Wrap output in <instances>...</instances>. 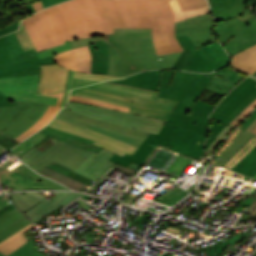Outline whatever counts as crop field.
I'll list each match as a JSON object with an SVG mask.
<instances>
[{"label": "crop field", "mask_w": 256, "mask_h": 256, "mask_svg": "<svg viewBox=\"0 0 256 256\" xmlns=\"http://www.w3.org/2000/svg\"><path fill=\"white\" fill-rule=\"evenodd\" d=\"M251 232H246L245 234H238L235 237H232L231 239L225 241L224 243H217L215 246H213L210 250L207 251L208 254L213 255V256H217L219 253H221L223 251V249L225 247H227L228 245L232 246L233 244H235L236 242H238L240 239L246 237L248 234H250ZM214 252H216L215 254H213Z\"/></svg>", "instance_id": "obj_41"}, {"label": "crop field", "mask_w": 256, "mask_h": 256, "mask_svg": "<svg viewBox=\"0 0 256 256\" xmlns=\"http://www.w3.org/2000/svg\"><path fill=\"white\" fill-rule=\"evenodd\" d=\"M150 215V213L144 212L134 225L141 227L144 224V222L149 218Z\"/></svg>", "instance_id": "obj_57"}, {"label": "crop field", "mask_w": 256, "mask_h": 256, "mask_svg": "<svg viewBox=\"0 0 256 256\" xmlns=\"http://www.w3.org/2000/svg\"><path fill=\"white\" fill-rule=\"evenodd\" d=\"M165 125L175 128L170 150L186 154L196 159L205 153L203 148L205 135L167 122Z\"/></svg>", "instance_id": "obj_16"}, {"label": "crop field", "mask_w": 256, "mask_h": 256, "mask_svg": "<svg viewBox=\"0 0 256 256\" xmlns=\"http://www.w3.org/2000/svg\"><path fill=\"white\" fill-rule=\"evenodd\" d=\"M34 226V223L28 225L27 227L23 228L22 230L18 231L14 235L10 236L6 240L0 243V252H2L4 255H9L11 252H13L15 249H17L19 246L24 244L27 240L23 234L24 231Z\"/></svg>", "instance_id": "obj_32"}, {"label": "crop field", "mask_w": 256, "mask_h": 256, "mask_svg": "<svg viewBox=\"0 0 256 256\" xmlns=\"http://www.w3.org/2000/svg\"><path fill=\"white\" fill-rule=\"evenodd\" d=\"M32 5H33V7L35 8L36 12H38V11L44 9V7H43L41 1L36 2V3H33Z\"/></svg>", "instance_id": "obj_63"}, {"label": "crop field", "mask_w": 256, "mask_h": 256, "mask_svg": "<svg viewBox=\"0 0 256 256\" xmlns=\"http://www.w3.org/2000/svg\"><path fill=\"white\" fill-rule=\"evenodd\" d=\"M44 7H49V6H52L54 4H57L59 2H62V1H65V0H41Z\"/></svg>", "instance_id": "obj_61"}, {"label": "crop field", "mask_w": 256, "mask_h": 256, "mask_svg": "<svg viewBox=\"0 0 256 256\" xmlns=\"http://www.w3.org/2000/svg\"><path fill=\"white\" fill-rule=\"evenodd\" d=\"M24 193V195H22ZM71 192H53L56 197H50L48 201L46 196L37 192H17L9 195L16 206L35 223L46 217L41 213L57 204Z\"/></svg>", "instance_id": "obj_13"}, {"label": "crop field", "mask_w": 256, "mask_h": 256, "mask_svg": "<svg viewBox=\"0 0 256 256\" xmlns=\"http://www.w3.org/2000/svg\"><path fill=\"white\" fill-rule=\"evenodd\" d=\"M56 25L60 41L114 33L124 28L116 0H70L45 9Z\"/></svg>", "instance_id": "obj_2"}, {"label": "crop field", "mask_w": 256, "mask_h": 256, "mask_svg": "<svg viewBox=\"0 0 256 256\" xmlns=\"http://www.w3.org/2000/svg\"><path fill=\"white\" fill-rule=\"evenodd\" d=\"M32 223L18 209H13L0 217V242L18 230Z\"/></svg>", "instance_id": "obj_24"}, {"label": "crop field", "mask_w": 256, "mask_h": 256, "mask_svg": "<svg viewBox=\"0 0 256 256\" xmlns=\"http://www.w3.org/2000/svg\"><path fill=\"white\" fill-rule=\"evenodd\" d=\"M69 92L70 91L64 93V96H63V99H62V102H61V105H60L61 107L65 106V104H66V102L68 100Z\"/></svg>", "instance_id": "obj_64"}, {"label": "crop field", "mask_w": 256, "mask_h": 256, "mask_svg": "<svg viewBox=\"0 0 256 256\" xmlns=\"http://www.w3.org/2000/svg\"><path fill=\"white\" fill-rule=\"evenodd\" d=\"M63 93H58L50 96H56L59 97L58 102L56 106H49L47 111L45 112L44 116L39 119L30 129H28L26 132H24L22 135H20L16 140L23 141L31 134L37 132L39 129H41L43 126H45L52 118L53 116L60 110L61 107H59Z\"/></svg>", "instance_id": "obj_31"}, {"label": "crop field", "mask_w": 256, "mask_h": 256, "mask_svg": "<svg viewBox=\"0 0 256 256\" xmlns=\"http://www.w3.org/2000/svg\"><path fill=\"white\" fill-rule=\"evenodd\" d=\"M233 129V127L226 126L214 139L212 145L206 151L210 156L216 150V148L220 145V143L224 140V138L228 135V133Z\"/></svg>", "instance_id": "obj_45"}, {"label": "crop field", "mask_w": 256, "mask_h": 256, "mask_svg": "<svg viewBox=\"0 0 256 256\" xmlns=\"http://www.w3.org/2000/svg\"><path fill=\"white\" fill-rule=\"evenodd\" d=\"M115 34L98 36L72 42L73 48L96 43L103 39L110 48V75L128 76L142 70L171 68L180 56L171 53L157 56L151 29H114ZM158 58H162L159 61Z\"/></svg>", "instance_id": "obj_1"}, {"label": "crop field", "mask_w": 256, "mask_h": 256, "mask_svg": "<svg viewBox=\"0 0 256 256\" xmlns=\"http://www.w3.org/2000/svg\"><path fill=\"white\" fill-rule=\"evenodd\" d=\"M221 68L229 61V56L217 41L201 48Z\"/></svg>", "instance_id": "obj_34"}, {"label": "crop field", "mask_w": 256, "mask_h": 256, "mask_svg": "<svg viewBox=\"0 0 256 256\" xmlns=\"http://www.w3.org/2000/svg\"><path fill=\"white\" fill-rule=\"evenodd\" d=\"M255 118H256V112H255L251 117H249V118L239 127V129L245 130Z\"/></svg>", "instance_id": "obj_59"}, {"label": "crop field", "mask_w": 256, "mask_h": 256, "mask_svg": "<svg viewBox=\"0 0 256 256\" xmlns=\"http://www.w3.org/2000/svg\"><path fill=\"white\" fill-rule=\"evenodd\" d=\"M88 128H91V129H93V130H96V131H99V132H101V133L107 134V135H109V136L115 137V138H117V139L123 140V141L128 142V143H130V144H132V145H135V146H137V147H139L140 144L142 143V141H140V140H138V139H134V138L127 137V136H124V135H121V134H117V133H114V132H110V131H107V130H104V129H101V128H98V127H95V126H92V125H90ZM91 129H90V130H91ZM99 132H98V133H99ZM107 135H106V136H107ZM115 138H114V139H115ZM123 141H122V142H123Z\"/></svg>", "instance_id": "obj_43"}, {"label": "crop field", "mask_w": 256, "mask_h": 256, "mask_svg": "<svg viewBox=\"0 0 256 256\" xmlns=\"http://www.w3.org/2000/svg\"><path fill=\"white\" fill-rule=\"evenodd\" d=\"M31 14L36 13L31 4L26 5Z\"/></svg>", "instance_id": "obj_69"}, {"label": "crop field", "mask_w": 256, "mask_h": 256, "mask_svg": "<svg viewBox=\"0 0 256 256\" xmlns=\"http://www.w3.org/2000/svg\"><path fill=\"white\" fill-rule=\"evenodd\" d=\"M23 22L38 52L61 44L53 21L44 10L24 19Z\"/></svg>", "instance_id": "obj_12"}, {"label": "crop field", "mask_w": 256, "mask_h": 256, "mask_svg": "<svg viewBox=\"0 0 256 256\" xmlns=\"http://www.w3.org/2000/svg\"><path fill=\"white\" fill-rule=\"evenodd\" d=\"M65 108L86 114L92 117L103 119L126 127L137 128L158 134L164 120L150 118L142 115L125 113L116 110L104 109L96 106H89L70 102Z\"/></svg>", "instance_id": "obj_10"}, {"label": "crop field", "mask_w": 256, "mask_h": 256, "mask_svg": "<svg viewBox=\"0 0 256 256\" xmlns=\"http://www.w3.org/2000/svg\"><path fill=\"white\" fill-rule=\"evenodd\" d=\"M126 28H152L157 54L183 51L174 33V13L167 0H117Z\"/></svg>", "instance_id": "obj_4"}, {"label": "crop field", "mask_w": 256, "mask_h": 256, "mask_svg": "<svg viewBox=\"0 0 256 256\" xmlns=\"http://www.w3.org/2000/svg\"><path fill=\"white\" fill-rule=\"evenodd\" d=\"M231 67L241 73L252 74L256 71V45L231 56Z\"/></svg>", "instance_id": "obj_27"}, {"label": "crop field", "mask_w": 256, "mask_h": 256, "mask_svg": "<svg viewBox=\"0 0 256 256\" xmlns=\"http://www.w3.org/2000/svg\"><path fill=\"white\" fill-rule=\"evenodd\" d=\"M215 73L214 79L207 86V90L217 92L221 95H226L237 85L246 75L237 73L229 67H225Z\"/></svg>", "instance_id": "obj_23"}, {"label": "crop field", "mask_w": 256, "mask_h": 256, "mask_svg": "<svg viewBox=\"0 0 256 256\" xmlns=\"http://www.w3.org/2000/svg\"><path fill=\"white\" fill-rule=\"evenodd\" d=\"M56 119L80 126L87 127L92 124L110 131H114L117 133H121L127 136H131L134 138H138L143 140L142 145L134 152L132 156L125 154L123 157L115 154L109 161L115 162L122 166L128 167L131 161L142 165L149 155L153 152L158 144L168 146L172 140V128L167 126L162 127L159 134H152L145 131L130 129L126 127H122L116 124H112L106 121H102L96 118H92L86 115H82L76 112H72L66 109L60 110L59 114H57Z\"/></svg>", "instance_id": "obj_7"}, {"label": "crop field", "mask_w": 256, "mask_h": 256, "mask_svg": "<svg viewBox=\"0 0 256 256\" xmlns=\"http://www.w3.org/2000/svg\"><path fill=\"white\" fill-rule=\"evenodd\" d=\"M3 151H5L4 149L0 148V153H2Z\"/></svg>", "instance_id": "obj_71"}, {"label": "crop field", "mask_w": 256, "mask_h": 256, "mask_svg": "<svg viewBox=\"0 0 256 256\" xmlns=\"http://www.w3.org/2000/svg\"><path fill=\"white\" fill-rule=\"evenodd\" d=\"M251 133L256 134V127L251 131Z\"/></svg>", "instance_id": "obj_70"}, {"label": "crop field", "mask_w": 256, "mask_h": 256, "mask_svg": "<svg viewBox=\"0 0 256 256\" xmlns=\"http://www.w3.org/2000/svg\"><path fill=\"white\" fill-rule=\"evenodd\" d=\"M74 71L70 70L69 72V76H68V82H67V86H66V90H70V86H71V80H72V76H73Z\"/></svg>", "instance_id": "obj_62"}, {"label": "crop field", "mask_w": 256, "mask_h": 256, "mask_svg": "<svg viewBox=\"0 0 256 256\" xmlns=\"http://www.w3.org/2000/svg\"><path fill=\"white\" fill-rule=\"evenodd\" d=\"M212 69L215 71L219 68L200 48L192 50L189 69L186 71L213 72Z\"/></svg>", "instance_id": "obj_30"}, {"label": "crop field", "mask_w": 256, "mask_h": 256, "mask_svg": "<svg viewBox=\"0 0 256 256\" xmlns=\"http://www.w3.org/2000/svg\"><path fill=\"white\" fill-rule=\"evenodd\" d=\"M231 170L253 177L256 174V147Z\"/></svg>", "instance_id": "obj_33"}, {"label": "crop field", "mask_w": 256, "mask_h": 256, "mask_svg": "<svg viewBox=\"0 0 256 256\" xmlns=\"http://www.w3.org/2000/svg\"><path fill=\"white\" fill-rule=\"evenodd\" d=\"M47 108V105L20 101L14 106H2L0 131L15 139L41 118Z\"/></svg>", "instance_id": "obj_9"}, {"label": "crop field", "mask_w": 256, "mask_h": 256, "mask_svg": "<svg viewBox=\"0 0 256 256\" xmlns=\"http://www.w3.org/2000/svg\"><path fill=\"white\" fill-rule=\"evenodd\" d=\"M36 50L24 52L15 33L0 38V66L37 57Z\"/></svg>", "instance_id": "obj_19"}, {"label": "crop field", "mask_w": 256, "mask_h": 256, "mask_svg": "<svg viewBox=\"0 0 256 256\" xmlns=\"http://www.w3.org/2000/svg\"><path fill=\"white\" fill-rule=\"evenodd\" d=\"M39 75L9 77L0 79V89L10 100L38 102L55 105L58 98L35 94Z\"/></svg>", "instance_id": "obj_11"}, {"label": "crop field", "mask_w": 256, "mask_h": 256, "mask_svg": "<svg viewBox=\"0 0 256 256\" xmlns=\"http://www.w3.org/2000/svg\"><path fill=\"white\" fill-rule=\"evenodd\" d=\"M113 155L114 153L105 149H102L98 154L92 153L74 171L96 181L114 165V163L107 161Z\"/></svg>", "instance_id": "obj_20"}, {"label": "crop field", "mask_w": 256, "mask_h": 256, "mask_svg": "<svg viewBox=\"0 0 256 256\" xmlns=\"http://www.w3.org/2000/svg\"><path fill=\"white\" fill-rule=\"evenodd\" d=\"M251 76H254V77H256V72H255V73H253Z\"/></svg>", "instance_id": "obj_72"}, {"label": "crop field", "mask_w": 256, "mask_h": 256, "mask_svg": "<svg viewBox=\"0 0 256 256\" xmlns=\"http://www.w3.org/2000/svg\"><path fill=\"white\" fill-rule=\"evenodd\" d=\"M16 34H17L25 51L35 48L24 25H23V22L21 23V29L16 31Z\"/></svg>", "instance_id": "obj_44"}, {"label": "crop field", "mask_w": 256, "mask_h": 256, "mask_svg": "<svg viewBox=\"0 0 256 256\" xmlns=\"http://www.w3.org/2000/svg\"><path fill=\"white\" fill-rule=\"evenodd\" d=\"M0 146L6 148V149H8V150L11 149V148H13V147L9 146L8 144L4 143V142L1 141V140H0Z\"/></svg>", "instance_id": "obj_67"}, {"label": "crop field", "mask_w": 256, "mask_h": 256, "mask_svg": "<svg viewBox=\"0 0 256 256\" xmlns=\"http://www.w3.org/2000/svg\"><path fill=\"white\" fill-rule=\"evenodd\" d=\"M214 24L212 14H205L187 19L184 22L175 23V28Z\"/></svg>", "instance_id": "obj_38"}, {"label": "crop field", "mask_w": 256, "mask_h": 256, "mask_svg": "<svg viewBox=\"0 0 256 256\" xmlns=\"http://www.w3.org/2000/svg\"><path fill=\"white\" fill-rule=\"evenodd\" d=\"M15 101H10L5 94L0 90V106L13 105Z\"/></svg>", "instance_id": "obj_56"}, {"label": "crop field", "mask_w": 256, "mask_h": 256, "mask_svg": "<svg viewBox=\"0 0 256 256\" xmlns=\"http://www.w3.org/2000/svg\"><path fill=\"white\" fill-rule=\"evenodd\" d=\"M255 146L256 136L240 152H238L224 167L231 169Z\"/></svg>", "instance_id": "obj_42"}, {"label": "crop field", "mask_w": 256, "mask_h": 256, "mask_svg": "<svg viewBox=\"0 0 256 256\" xmlns=\"http://www.w3.org/2000/svg\"><path fill=\"white\" fill-rule=\"evenodd\" d=\"M69 70L59 65L41 66L38 94L49 95L65 90Z\"/></svg>", "instance_id": "obj_18"}, {"label": "crop field", "mask_w": 256, "mask_h": 256, "mask_svg": "<svg viewBox=\"0 0 256 256\" xmlns=\"http://www.w3.org/2000/svg\"><path fill=\"white\" fill-rule=\"evenodd\" d=\"M48 64H55L53 55L41 60H39V58L37 57L21 63L0 67V73L21 70V69H28V68H36V67H40V65H48Z\"/></svg>", "instance_id": "obj_35"}, {"label": "crop field", "mask_w": 256, "mask_h": 256, "mask_svg": "<svg viewBox=\"0 0 256 256\" xmlns=\"http://www.w3.org/2000/svg\"><path fill=\"white\" fill-rule=\"evenodd\" d=\"M90 154L91 152L89 151L63 143L38 163L30 167L39 173L56 161L74 170Z\"/></svg>", "instance_id": "obj_17"}, {"label": "crop field", "mask_w": 256, "mask_h": 256, "mask_svg": "<svg viewBox=\"0 0 256 256\" xmlns=\"http://www.w3.org/2000/svg\"><path fill=\"white\" fill-rule=\"evenodd\" d=\"M4 153V152H3ZM1 155V154H0Z\"/></svg>", "instance_id": "obj_77"}, {"label": "crop field", "mask_w": 256, "mask_h": 256, "mask_svg": "<svg viewBox=\"0 0 256 256\" xmlns=\"http://www.w3.org/2000/svg\"><path fill=\"white\" fill-rule=\"evenodd\" d=\"M13 208H15V207L12 203V204H10L9 206H7L6 208H4L3 210L0 211V216L4 213L8 212L9 210L13 209Z\"/></svg>", "instance_id": "obj_65"}, {"label": "crop field", "mask_w": 256, "mask_h": 256, "mask_svg": "<svg viewBox=\"0 0 256 256\" xmlns=\"http://www.w3.org/2000/svg\"><path fill=\"white\" fill-rule=\"evenodd\" d=\"M71 48L72 47H71L70 41H67L63 45L46 49L44 51L39 52L38 54H39V58L41 59V58H44V57L52 55V54H58L60 52L66 51V50L71 49Z\"/></svg>", "instance_id": "obj_46"}, {"label": "crop field", "mask_w": 256, "mask_h": 256, "mask_svg": "<svg viewBox=\"0 0 256 256\" xmlns=\"http://www.w3.org/2000/svg\"><path fill=\"white\" fill-rule=\"evenodd\" d=\"M254 99H256V79L248 77L237 85L210 115L211 127L205 142L206 150L216 135Z\"/></svg>", "instance_id": "obj_8"}, {"label": "crop field", "mask_w": 256, "mask_h": 256, "mask_svg": "<svg viewBox=\"0 0 256 256\" xmlns=\"http://www.w3.org/2000/svg\"><path fill=\"white\" fill-rule=\"evenodd\" d=\"M96 82H99V81H91V80H84V79L73 78L72 87L71 88H75V87L81 86V85L96 83Z\"/></svg>", "instance_id": "obj_55"}, {"label": "crop field", "mask_w": 256, "mask_h": 256, "mask_svg": "<svg viewBox=\"0 0 256 256\" xmlns=\"http://www.w3.org/2000/svg\"><path fill=\"white\" fill-rule=\"evenodd\" d=\"M28 74H39V68L0 74V78L1 77H9V76L28 75Z\"/></svg>", "instance_id": "obj_52"}, {"label": "crop field", "mask_w": 256, "mask_h": 256, "mask_svg": "<svg viewBox=\"0 0 256 256\" xmlns=\"http://www.w3.org/2000/svg\"><path fill=\"white\" fill-rule=\"evenodd\" d=\"M19 21L14 22V23H12L10 25H7V26H5L3 28H0V36L17 30L19 28Z\"/></svg>", "instance_id": "obj_54"}, {"label": "crop field", "mask_w": 256, "mask_h": 256, "mask_svg": "<svg viewBox=\"0 0 256 256\" xmlns=\"http://www.w3.org/2000/svg\"><path fill=\"white\" fill-rule=\"evenodd\" d=\"M214 76V73L162 70L157 97L179 101L171 117L208 128L210 124L208 115L215 106L197 98ZM189 110L192 112L189 113Z\"/></svg>", "instance_id": "obj_3"}, {"label": "crop field", "mask_w": 256, "mask_h": 256, "mask_svg": "<svg viewBox=\"0 0 256 256\" xmlns=\"http://www.w3.org/2000/svg\"><path fill=\"white\" fill-rule=\"evenodd\" d=\"M177 39H178V41H179V43H180V45H181V47L183 48L184 51L190 50V49H195V46L191 42L188 35L179 36V37H177Z\"/></svg>", "instance_id": "obj_53"}, {"label": "crop field", "mask_w": 256, "mask_h": 256, "mask_svg": "<svg viewBox=\"0 0 256 256\" xmlns=\"http://www.w3.org/2000/svg\"><path fill=\"white\" fill-rule=\"evenodd\" d=\"M190 54H191V50L182 52L181 56L179 57L178 61L174 65L173 69H181V70L187 69L189 65Z\"/></svg>", "instance_id": "obj_49"}, {"label": "crop field", "mask_w": 256, "mask_h": 256, "mask_svg": "<svg viewBox=\"0 0 256 256\" xmlns=\"http://www.w3.org/2000/svg\"><path fill=\"white\" fill-rule=\"evenodd\" d=\"M46 136L36 133L23 141L17 147L12 149V153L15 154L18 158L21 157L25 152L30 150L32 147L37 145L40 141H42Z\"/></svg>", "instance_id": "obj_37"}, {"label": "crop field", "mask_w": 256, "mask_h": 256, "mask_svg": "<svg viewBox=\"0 0 256 256\" xmlns=\"http://www.w3.org/2000/svg\"><path fill=\"white\" fill-rule=\"evenodd\" d=\"M213 25L175 29L176 36L188 34L194 45L201 47L217 41L212 32Z\"/></svg>", "instance_id": "obj_28"}, {"label": "crop field", "mask_w": 256, "mask_h": 256, "mask_svg": "<svg viewBox=\"0 0 256 256\" xmlns=\"http://www.w3.org/2000/svg\"><path fill=\"white\" fill-rule=\"evenodd\" d=\"M48 126L93 139L95 140L94 144L107 150H110L114 153H117L121 156H123L125 153L132 155L133 152L137 149V147L135 146L114 139L112 137L106 136L104 134L98 133L96 131L90 130L88 128L83 129L56 119L49 123Z\"/></svg>", "instance_id": "obj_15"}, {"label": "crop field", "mask_w": 256, "mask_h": 256, "mask_svg": "<svg viewBox=\"0 0 256 256\" xmlns=\"http://www.w3.org/2000/svg\"><path fill=\"white\" fill-rule=\"evenodd\" d=\"M183 11L208 5L206 0H178Z\"/></svg>", "instance_id": "obj_47"}, {"label": "crop field", "mask_w": 256, "mask_h": 256, "mask_svg": "<svg viewBox=\"0 0 256 256\" xmlns=\"http://www.w3.org/2000/svg\"><path fill=\"white\" fill-rule=\"evenodd\" d=\"M161 70L140 72L121 80H110L106 82L118 83L123 85L147 88L151 90L158 89Z\"/></svg>", "instance_id": "obj_25"}, {"label": "crop field", "mask_w": 256, "mask_h": 256, "mask_svg": "<svg viewBox=\"0 0 256 256\" xmlns=\"http://www.w3.org/2000/svg\"><path fill=\"white\" fill-rule=\"evenodd\" d=\"M11 202V200L8 198V196H4L0 199V209L6 207L7 205H9Z\"/></svg>", "instance_id": "obj_60"}, {"label": "crop field", "mask_w": 256, "mask_h": 256, "mask_svg": "<svg viewBox=\"0 0 256 256\" xmlns=\"http://www.w3.org/2000/svg\"><path fill=\"white\" fill-rule=\"evenodd\" d=\"M137 199V197H133V196H128L127 199L124 201L125 203H129L132 204L135 200Z\"/></svg>", "instance_id": "obj_66"}, {"label": "crop field", "mask_w": 256, "mask_h": 256, "mask_svg": "<svg viewBox=\"0 0 256 256\" xmlns=\"http://www.w3.org/2000/svg\"><path fill=\"white\" fill-rule=\"evenodd\" d=\"M89 47V46H88ZM87 46L54 55L56 64L78 72L90 73L92 58Z\"/></svg>", "instance_id": "obj_21"}, {"label": "crop field", "mask_w": 256, "mask_h": 256, "mask_svg": "<svg viewBox=\"0 0 256 256\" xmlns=\"http://www.w3.org/2000/svg\"><path fill=\"white\" fill-rule=\"evenodd\" d=\"M69 100L79 102V103L89 104V105H96V106H101V107H105V108L121 110V111H125V112L128 111L127 108L111 105L106 102L94 100V99L82 98V97H77V96L71 95Z\"/></svg>", "instance_id": "obj_40"}, {"label": "crop field", "mask_w": 256, "mask_h": 256, "mask_svg": "<svg viewBox=\"0 0 256 256\" xmlns=\"http://www.w3.org/2000/svg\"><path fill=\"white\" fill-rule=\"evenodd\" d=\"M158 92L99 83L73 89L71 94L106 101L111 104L130 108L129 112L166 120L173 111L176 101L156 98Z\"/></svg>", "instance_id": "obj_6"}, {"label": "crop field", "mask_w": 256, "mask_h": 256, "mask_svg": "<svg viewBox=\"0 0 256 256\" xmlns=\"http://www.w3.org/2000/svg\"><path fill=\"white\" fill-rule=\"evenodd\" d=\"M2 172V170H0V173Z\"/></svg>", "instance_id": "obj_76"}, {"label": "crop field", "mask_w": 256, "mask_h": 256, "mask_svg": "<svg viewBox=\"0 0 256 256\" xmlns=\"http://www.w3.org/2000/svg\"><path fill=\"white\" fill-rule=\"evenodd\" d=\"M253 178H256V175Z\"/></svg>", "instance_id": "obj_74"}, {"label": "crop field", "mask_w": 256, "mask_h": 256, "mask_svg": "<svg viewBox=\"0 0 256 256\" xmlns=\"http://www.w3.org/2000/svg\"><path fill=\"white\" fill-rule=\"evenodd\" d=\"M256 107V100L253 101L234 121H232L229 126L235 127L240 123L254 108Z\"/></svg>", "instance_id": "obj_51"}, {"label": "crop field", "mask_w": 256, "mask_h": 256, "mask_svg": "<svg viewBox=\"0 0 256 256\" xmlns=\"http://www.w3.org/2000/svg\"><path fill=\"white\" fill-rule=\"evenodd\" d=\"M0 256H4V255L0 253Z\"/></svg>", "instance_id": "obj_73"}, {"label": "crop field", "mask_w": 256, "mask_h": 256, "mask_svg": "<svg viewBox=\"0 0 256 256\" xmlns=\"http://www.w3.org/2000/svg\"><path fill=\"white\" fill-rule=\"evenodd\" d=\"M167 122H170V123H173V124H176V125H180V126L195 130V131L203 133L205 135L208 132L207 128H204V127H201V126H198V125H193V124H190V123H187V122H184V121H180V120H177V119H174V118H171V117L168 118Z\"/></svg>", "instance_id": "obj_48"}, {"label": "crop field", "mask_w": 256, "mask_h": 256, "mask_svg": "<svg viewBox=\"0 0 256 256\" xmlns=\"http://www.w3.org/2000/svg\"><path fill=\"white\" fill-rule=\"evenodd\" d=\"M73 77L91 79V80H99V81L121 78V77H112V76L95 75V74H84V73H78V72H75Z\"/></svg>", "instance_id": "obj_50"}, {"label": "crop field", "mask_w": 256, "mask_h": 256, "mask_svg": "<svg viewBox=\"0 0 256 256\" xmlns=\"http://www.w3.org/2000/svg\"><path fill=\"white\" fill-rule=\"evenodd\" d=\"M90 52L93 57L92 73L107 74L109 62V48L107 44H103L102 40L97 44L89 45ZM98 49V51H95Z\"/></svg>", "instance_id": "obj_29"}, {"label": "crop field", "mask_w": 256, "mask_h": 256, "mask_svg": "<svg viewBox=\"0 0 256 256\" xmlns=\"http://www.w3.org/2000/svg\"><path fill=\"white\" fill-rule=\"evenodd\" d=\"M253 137L252 134L236 130L218 150L211 163L224 166Z\"/></svg>", "instance_id": "obj_22"}, {"label": "crop field", "mask_w": 256, "mask_h": 256, "mask_svg": "<svg viewBox=\"0 0 256 256\" xmlns=\"http://www.w3.org/2000/svg\"><path fill=\"white\" fill-rule=\"evenodd\" d=\"M247 0H208L215 17L214 33L234 55L256 44V16L244 9Z\"/></svg>", "instance_id": "obj_5"}, {"label": "crop field", "mask_w": 256, "mask_h": 256, "mask_svg": "<svg viewBox=\"0 0 256 256\" xmlns=\"http://www.w3.org/2000/svg\"><path fill=\"white\" fill-rule=\"evenodd\" d=\"M169 2H170V5H171L174 13H175V22L183 21L189 17H193V16L211 12L209 9V6L182 12L176 0H169Z\"/></svg>", "instance_id": "obj_36"}, {"label": "crop field", "mask_w": 256, "mask_h": 256, "mask_svg": "<svg viewBox=\"0 0 256 256\" xmlns=\"http://www.w3.org/2000/svg\"><path fill=\"white\" fill-rule=\"evenodd\" d=\"M1 182L17 189H63L70 190L60 184H57L45 177L38 175L26 165H21L12 173L2 172L0 174Z\"/></svg>", "instance_id": "obj_14"}, {"label": "crop field", "mask_w": 256, "mask_h": 256, "mask_svg": "<svg viewBox=\"0 0 256 256\" xmlns=\"http://www.w3.org/2000/svg\"><path fill=\"white\" fill-rule=\"evenodd\" d=\"M35 247L33 240H29L9 256H43Z\"/></svg>", "instance_id": "obj_39"}, {"label": "crop field", "mask_w": 256, "mask_h": 256, "mask_svg": "<svg viewBox=\"0 0 256 256\" xmlns=\"http://www.w3.org/2000/svg\"><path fill=\"white\" fill-rule=\"evenodd\" d=\"M253 201H254V199L248 197V198L241 204V206H240L239 208H237L234 212H236V211H237V212H241V211L243 210L242 208L247 207L248 205H251Z\"/></svg>", "instance_id": "obj_58"}, {"label": "crop field", "mask_w": 256, "mask_h": 256, "mask_svg": "<svg viewBox=\"0 0 256 256\" xmlns=\"http://www.w3.org/2000/svg\"><path fill=\"white\" fill-rule=\"evenodd\" d=\"M255 126H256V119L252 122V124L246 130L250 132Z\"/></svg>", "instance_id": "obj_68"}, {"label": "crop field", "mask_w": 256, "mask_h": 256, "mask_svg": "<svg viewBox=\"0 0 256 256\" xmlns=\"http://www.w3.org/2000/svg\"><path fill=\"white\" fill-rule=\"evenodd\" d=\"M39 133L46 136L59 139L65 143L98 153L102 148L92 144L93 140H89L83 137H79L73 134H69L51 127L46 126L44 129L39 131Z\"/></svg>", "instance_id": "obj_26"}, {"label": "crop field", "mask_w": 256, "mask_h": 256, "mask_svg": "<svg viewBox=\"0 0 256 256\" xmlns=\"http://www.w3.org/2000/svg\"><path fill=\"white\" fill-rule=\"evenodd\" d=\"M2 196H4V195H2ZM2 196H0V198H1Z\"/></svg>", "instance_id": "obj_75"}]
</instances>
